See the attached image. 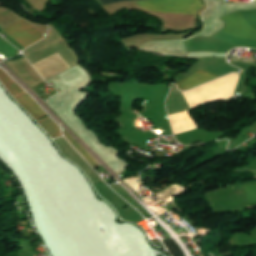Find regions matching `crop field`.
Instances as JSON below:
<instances>
[{"label":"crop field","instance_id":"obj_1","mask_svg":"<svg viewBox=\"0 0 256 256\" xmlns=\"http://www.w3.org/2000/svg\"><path fill=\"white\" fill-rule=\"evenodd\" d=\"M136 3L149 11L167 13L195 14L202 7L198 0H151Z\"/></svg>","mask_w":256,"mask_h":256},{"label":"crop field","instance_id":"obj_2","mask_svg":"<svg viewBox=\"0 0 256 256\" xmlns=\"http://www.w3.org/2000/svg\"><path fill=\"white\" fill-rule=\"evenodd\" d=\"M3 31L6 32L8 35H10L12 38H14L17 42H19L24 47L28 46L29 44H31L32 42H34L35 40L43 36L36 29H34L32 26H30L28 23H26L22 19L12 24L11 26L7 27ZM42 38L43 37H41L37 41L41 40Z\"/></svg>","mask_w":256,"mask_h":256},{"label":"crop field","instance_id":"obj_3","mask_svg":"<svg viewBox=\"0 0 256 256\" xmlns=\"http://www.w3.org/2000/svg\"><path fill=\"white\" fill-rule=\"evenodd\" d=\"M222 20H225V21L229 22L230 24H232V25H234V26H236V27H238L242 30H246V31L256 33V31L253 30L248 25V23L242 18V16L239 14L238 11L223 17ZM227 22H225V27L222 31H224L226 33H229L231 35H234V36H238V37H241V38L256 41V34L246 32V31H242V30L230 25Z\"/></svg>","mask_w":256,"mask_h":256},{"label":"crop field","instance_id":"obj_4","mask_svg":"<svg viewBox=\"0 0 256 256\" xmlns=\"http://www.w3.org/2000/svg\"><path fill=\"white\" fill-rule=\"evenodd\" d=\"M217 77H219V76L211 74V73L203 71V70H200V71L190 75L185 80L177 83V85H178L179 89L187 90L189 88L197 86L203 82L215 79Z\"/></svg>","mask_w":256,"mask_h":256},{"label":"crop field","instance_id":"obj_5","mask_svg":"<svg viewBox=\"0 0 256 256\" xmlns=\"http://www.w3.org/2000/svg\"><path fill=\"white\" fill-rule=\"evenodd\" d=\"M15 100L33 117L35 121L46 116L38 104L26 93L15 98Z\"/></svg>","mask_w":256,"mask_h":256},{"label":"crop field","instance_id":"obj_6","mask_svg":"<svg viewBox=\"0 0 256 256\" xmlns=\"http://www.w3.org/2000/svg\"><path fill=\"white\" fill-rule=\"evenodd\" d=\"M3 72L0 71V82L4 85V87L8 90V92L13 96V98L25 92L5 72H4L5 74Z\"/></svg>","mask_w":256,"mask_h":256},{"label":"crop field","instance_id":"obj_7","mask_svg":"<svg viewBox=\"0 0 256 256\" xmlns=\"http://www.w3.org/2000/svg\"><path fill=\"white\" fill-rule=\"evenodd\" d=\"M37 122L51 138H55L61 135L59 127L49 117H45Z\"/></svg>","mask_w":256,"mask_h":256},{"label":"crop field","instance_id":"obj_8","mask_svg":"<svg viewBox=\"0 0 256 256\" xmlns=\"http://www.w3.org/2000/svg\"><path fill=\"white\" fill-rule=\"evenodd\" d=\"M64 136L68 139V141L84 156V158L91 164V166L96 169L99 165L86 153L85 149L82 148L78 142L70 136L66 131L62 130Z\"/></svg>","mask_w":256,"mask_h":256},{"label":"crop field","instance_id":"obj_9","mask_svg":"<svg viewBox=\"0 0 256 256\" xmlns=\"http://www.w3.org/2000/svg\"><path fill=\"white\" fill-rule=\"evenodd\" d=\"M249 206H256V182L242 184Z\"/></svg>","mask_w":256,"mask_h":256},{"label":"crop field","instance_id":"obj_10","mask_svg":"<svg viewBox=\"0 0 256 256\" xmlns=\"http://www.w3.org/2000/svg\"><path fill=\"white\" fill-rule=\"evenodd\" d=\"M164 244L167 246L172 256H184V253L180 246L175 242L174 239L164 240Z\"/></svg>","mask_w":256,"mask_h":256},{"label":"crop field","instance_id":"obj_11","mask_svg":"<svg viewBox=\"0 0 256 256\" xmlns=\"http://www.w3.org/2000/svg\"><path fill=\"white\" fill-rule=\"evenodd\" d=\"M102 5L105 4H110V3H114V2H119V1H128V0H100Z\"/></svg>","mask_w":256,"mask_h":256}]
</instances>
